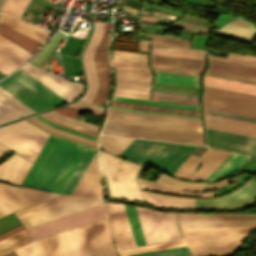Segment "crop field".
<instances>
[{
	"label": "crop field",
	"instance_id": "8a807250",
	"mask_svg": "<svg viewBox=\"0 0 256 256\" xmlns=\"http://www.w3.org/2000/svg\"><path fill=\"white\" fill-rule=\"evenodd\" d=\"M195 147L133 139L120 156L173 174Z\"/></svg>",
	"mask_w": 256,
	"mask_h": 256
},
{
	"label": "crop field",
	"instance_id": "ac0d7876",
	"mask_svg": "<svg viewBox=\"0 0 256 256\" xmlns=\"http://www.w3.org/2000/svg\"><path fill=\"white\" fill-rule=\"evenodd\" d=\"M0 87L35 112L66 102L21 68L2 80Z\"/></svg>",
	"mask_w": 256,
	"mask_h": 256
},
{
	"label": "crop field",
	"instance_id": "34b2d1b8",
	"mask_svg": "<svg viewBox=\"0 0 256 256\" xmlns=\"http://www.w3.org/2000/svg\"><path fill=\"white\" fill-rule=\"evenodd\" d=\"M100 160L110 197H123L143 202L135 179L140 166L101 151Z\"/></svg>",
	"mask_w": 256,
	"mask_h": 256
},
{
	"label": "crop field",
	"instance_id": "412701ff",
	"mask_svg": "<svg viewBox=\"0 0 256 256\" xmlns=\"http://www.w3.org/2000/svg\"><path fill=\"white\" fill-rule=\"evenodd\" d=\"M49 134L21 121L0 128V143L34 161Z\"/></svg>",
	"mask_w": 256,
	"mask_h": 256
},
{
	"label": "crop field",
	"instance_id": "f4fd0767",
	"mask_svg": "<svg viewBox=\"0 0 256 256\" xmlns=\"http://www.w3.org/2000/svg\"><path fill=\"white\" fill-rule=\"evenodd\" d=\"M103 134L203 145L202 133L106 122Z\"/></svg>",
	"mask_w": 256,
	"mask_h": 256
},
{
	"label": "crop field",
	"instance_id": "dd49c442",
	"mask_svg": "<svg viewBox=\"0 0 256 256\" xmlns=\"http://www.w3.org/2000/svg\"><path fill=\"white\" fill-rule=\"evenodd\" d=\"M116 85L150 88L153 76L147 55L113 51Z\"/></svg>",
	"mask_w": 256,
	"mask_h": 256
},
{
	"label": "crop field",
	"instance_id": "e52e79f7",
	"mask_svg": "<svg viewBox=\"0 0 256 256\" xmlns=\"http://www.w3.org/2000/svg\"><path fill=\"white\" fill-rule=\"evenodd\" d=\"M205 87L204 107L256 116V95Z\"/></svg>",
	"mask_w": 256,
	"mask_h": 256
},
{
	"label": "crop field",
	"instance_id": "d8731c3e",
	"mask_svg": "<svg viewBox=\"0 0 256 256\" xmlns=\"http://www.w3.org/2000/svg\"><path fill=\"white\" fill-rule=\"evenodd\" d=\"M139 208L136 209L147 244L182 238L174 213H164L143 208L152 238L151 242L143 210Z\"/></svg>",
	"mask_w": 256,
	"mask_h": 256
},
{
	"label": "crop field",
	"instance_id": "5a996713",
	"mask_svg": "<svg viewBox=\"0 0 256 256\" xmlns=\"http://www.w3.org/2000/svg\"><path fill=\"white\" fill-rule=\"evenodd\" d=\"M63 195L40 192L0 183V217Z\"/></svg>",
	"mask_w": 256,
	"mask_h": 256
},
{
	"label": "crop field",
	"instance_id": "3316defc",
	"mask_svg": "<svg viewBox=\"0 0 256 256\" xmlns=\"http://www.w3.org/2000/svg\"><path fill=\"white\" fill-rule=\"evenodd\" d=\"M76 143L58 138L31 186L50 190Z\"/></svg>",
	"mask_w": 256,
	"mask_h": 256
},
{
	"label": "crop field",
	"instance_id": "28ad6ade",
	"mask_svg": "<svg viewBox=\"0 0 256 256\" xmlns=\"http://www.w3.org/2000/svg\"><path fill=\"white\" fill-rule=\"evenodd\" d=\"M103 206L98 205L86 210H82L46 223H42L30 228H27L28 232L34 239L47 236L59 231H63L78 225H82L94 220L104 218Z\"/></svg>",
	"mask_w": 256,
	"mask_h": 256
},
{
	"label": "crop field",
	"instance_id": "d1516ede",
	"mask_svg": "<svg viewBox=\"0 0 256 256\" xmlns=\"http://www.w3.org/2000/svg\"><path fill=\"white\" fill-rule=\"evenodd\" d=\"M79 228L88 256H117L106 219Z\"/></svg>",
	"mask_w": 256,
	"mask_h": 256
},
{
	"label": "crop field",
	"instance_id": "22f410ed",
	"mask_svg": "<svg viewBox=\"0 0 256 256\" xmlns=\"http://www.w3.org/2000/svg\"><path fill=\"white\" fill-rule=\"evenodd\" d=\"M229 153L228 151L209 148L201 158L190 154L174 175L184 179L206 180ZM199 163L204 165L196 173L194 169Z\"/></svg>",
	"mask_w": 256,
	"mask_h": 256
},
{
	"label": "crop field",
	"instance_id": "cbeb9de0",
	"mask_svg": "<svg viewBox=\"0 0 256 256\" xmlns=\"http://www.w3.org/2000/svg\"><path fill=\"white\" fill-rule=\"evenodd\" d=\"M256 199V180L251 179L233 193L215 199H196L195 209H236Z\"/></svg>",
	"mask_w": 256,
	"mask_h": 256
},
{
	"label": "crop field",
	"instance_id": "5142ce71",
	"mask_svg": "<svg viewBox=\"0 0 256 256\" xmlns=\"http://www.w3.org/2000/svg\"><path fill=\"white\" fill-rule=\"evenodd\" d=\"M101 203V200L80 198L30 215L20 217V220L23 222L25 228H27Z\"/></svg>",
	"mask_w": 256,
	"mask_h": 256
},
{
	"label": "crop field",
	"instance_id": "d9b57169",
	"mask_svg": "<svg viewBox=\"0 0 256 256\" xmlns=\"http://www.w3.org/2000/svg\"><path fill=\"white\" fill-rule=\"evenodd\" d=\"M18 256H73L65 233H60L16 250Z\"/></svg>",
	"mask_w": 256,
	"mask_h": 256
},
{
	"label": "crop field",
	"instance_id": "733c2abd",
	"mask_svg": "<svg viewBox=\"0 0 256 256\" xmlns=\"http://www.w3.org/2000/svg\"><path fill=\"white\" fill-rule=\"evenodd\" d=\"M208 145L256 155V138L206 128Z\"/></svg>",
	"mask_w": 256,
	"mask_h": 256
},
{
	"label": "crop field",
	"instance_id": "4a817a6b",
	"mask_svg": "<svg viewBox=\"0 0 256 256\" xmlns=\"http://www.w3.org/2000/svg\"><path fill=\"white\" fill-rule=\"evenodd\" d=\"M254 229L182 232L187 246L244 241Z\"/></svg>",
	"mask_w": 256,
	"mask_h": 256
},
{
	"label": "crop field",
	"instance_id": "bc2a9ffb",
	"mask_svg": "<svg viewBox=\"0 0 256 256\" xmlns=\"http://www.w3.org/2000/svg\"><path fill=\"white\" fill-rule=\"evenodd\" d=\"M110 224L118 248L136 246L125 213L120 203L105 202Z\"/></svg>",
	"mask_w": 256,
	"mask_h": 256
},
{
	"label": "crop field",
	"instance_id": "214f88e0",
	"mask_svg": "<svg viewBox=\"0 0 256 256\" xmlns=\"http://www.w3.org/2000/svg\"><path fill=\"white\" fill-rule=\"evenodd\" d=\"M21 68L33 75L35 78L40 80L42 83L47 85L49 88L57 92L68 101L77 98V96L80 95L82 91V86L48 74L30 64H27Z\"/></svg>",
	"mask_w": 256,
	"mask_h": 256
},
{
	"label": "crop field",
	"instance_id": "92a150f3",
	"mask_svg": "<svg viewBox=\"0 0 256 256\" xmlns=\"http://www.w3.org/2000/svg\"><path fill=\"white\" fill-rule=\"evenodd\" d=\"M104 23L95 22L94 34L84 52L83 63L85 67V72L88 80V89L86 95L82 100L90 102L93 96L97 92L98 82L96 77V71L93 61L94 51L98 45V42L102 36Z\"/></svg>",
	"mask_w": 256,
	"mask_h": 256
},
{
	"label": "crop field",
	"instance_id": "dafd665d",
	"mask_svg": "<svg viewBox=\"0 0 256 256\" xmlns=\"http://www.w3.org/2000/svg\"><path fill=\"white\" fill-rule=\"evenodd\" d=\"M101 177L102 174L95 154L72 194L101 199Z\"/></svg>",
	"mask_w": 256,
	"mask_h": 256
},
{
	"label": "crop field",
	"instance_id": "00972430",
	"mask_svg": "<svg viewBox=\"0 0 256 256\" xmlns=\"http://www.w3.org/2000/svg\"><path fill=\"white\" fill-rule=\"evenodd\" d=\"M151 56L153 69L158 71L199 75L204 65V61L200 60Z\"/></svg>",
	"mask_w": 256,
	"mask_h": 256
},
{
	"label": "crop field",
	"instance_id": "a9b5d70f",
	"mask_svg": "<svg viewBox=\"0 0 256 256\" xmlns=\"http://www.w3.org/2000/svg\"><path fill=\"white\" fill-rule=\"evenodd\" d=\"M206 127L256 137V123L205 114Z\"/></svg>",
	"mask_w": 256,
	"mask_h": 256
},
{
	"label": "crop field",
	"instance_id": "4177f3b9",
	"mask_svg": "<svg viewBox=\"0 0 256 256\" xmlns=\"http://www.w3.org/2000/svg\"><path fill=\"white\" fill-rule=\"evenodd\" d=\"M32 162L14 154L0 165V179L21 183Z\"/></svg>",
	"mask_w": 256,
	"mask_h": 256
},
{
	"label": "crop field",
	"instance_id": "730fd06b",
	"mask_svg": "<svg viewBox=\"0 0 256 256\" xmlns=\"http://www.w3.org/2000/svg\"><path fill=\"white\" fill-rule=\"evenodd\" d=\"M240 17L226 25L219 31L218 35L252 43L256 36V27Z\"/></svg>",
	"mask_w": 256,
	"mask_h": 256
},
{
	"label": "crop field",
	"instance_id": "eef30255",
	"mask_svg": "<svg viewBox=\"0 0 256 256\" xmlns=\"http://www.w3.org/2000/svg\"><path fill=\"white\" fill-rule=\"evenodd\" d=\"M108 116L201 127V121L196 119L177 118L113 110H109Z\"/></svg>",
	"mask_w": 256,
	"mask_h": 256
},
{
	"label": "crop field",
	"instance_id": "ae1a2a85",
	"mask_svg": "<svg viewBox=\"0 0 256 256\" xmlns=\"http://www.w3.org/2000/svg\"><path fill=\"white\" fill-rule=\"evenodd\" d=\"M34 111V110H33ZM31 109L19 102L13 96L0 88V114L11 120L34 113Z\"/></svg>",
	"mask_w": 256,
	"mask_h": 256
},
{
	"label": "crop field",
	"instance_id": "d3111659",
	"mask_svg": "<svg viewBox=\"0 0 256 256\" xmlns=\"http://www.w3.org/2000/svg\"><path fill=\"white\" fill-rule=\"evenodd\" d=\"M1 18L5 19V20H7V21H9V22L21 27V28H24V29H26V30L44 38V39L50 34V31H48V30L42 29L40 27L31 25V24H28V23H25L23 21L11 18V17L3 15V14H1V16H0V21H1ZM3 19L1 21L2 24L6 25V26H8V27H10V28H12V29H14V30H16V31H18V32L36 40V41H38V42H40L42 40V38L28 32L24 29H21V28L15 26V25H13V24H11V23L3 20ZM44 39L41 41V43L44 41Z\"/></svg>",
	"mask_w": 256,
	"mask_h": 256
},
{
	"label": "crop field",
	"instance_id": "750c4746",
	"mask_svg": "<svg viewBox=\"0 0 256 256\" xmlns=\"http://www.w3.org/2000/svg\"><path fill=\"white\" fill-rule=\"evenodd\" d=\"M86 146L77 144L67 163L65 164L63 170L52 186L51 190L61 193L63 187L65 186L67 180L69 179L71 173L76 167L78 161L80 160L82 154L84 153Z\"/></svg>",
	"mask_w": 256,
	"mask_h": 256
},
{
	"label": "crop field",
	"instance_id": "bd1437ed",
	"mask_svg": "<svg viewBox=\"0 0 256 256\" xmlns=\"http://www.w3.org/2000/svg\"><path fill=\"white\" fill-rule=\"evenodd\" d=\"M204 84L207 86L256 94V84L241 81H235L206 75L204 79Z\"/></svg>",
	"mask_w": 256,
	"mask_h": 256
},
{
	"label": "crop field",
	"instance_id": "1d83c4d3",
	"mask_svg": "<svg viewBox=\"0 0 256 256\" xmlns=\"http://www.w3.org/2000/svg\"><path fill=\"white\" fill-rule=\"evenodd\" d=\"M162 176V173L160 175V177L158 178L157 180V183H160V184H164V183H167L169 185H172V186H175V187H179V188H186V189H203V188H212V187H216V186H221V185H225L233 180H235L234 178H229L227 180H224V181H220V182H217V183H212V184H199V183H189V182H183V181H180L178 179H175V178H172L170 176H167V175H163L162 179H161V182H164V183H161L159 182L160 178ZM236 181V180H235ZM233 181V182H235ZM231 182V183H233ZM167 184H164V185H167ZM230 184V183H229ZM167 185V186H169ZM228 185V184H227ZM170 186V187H172ZM226 186V185H225ZM175 187H172L174 189H178V190H185V191H206V190H214V189H218V188H221V187H217V188H212V189H204V190H186V189H179V188H175Z\"/></svg>",
	"mask_w": 256,
	"mask_h": 256
},
{
	"label": "crop field",
	"instance_id": "120bbe31",
	"mask_svg": "<svg viewBox=\"0 0 256 256\" xmlns=\"http://www.w3.org/2000/svg\"><path fill=\"white\" fill-rule=\"evenodd\" d=\"M152 38V47L170 50L186 51L204 54L205 51L188 49L190 42L161 35H149Z\"/></svg>",
	"mask_w": 256,
	"mask_h": 256
},
{
	"label": "crop field",
	"instance_id": "d32e631a",
	"mask_svg": "<svg viewBox=\"0 0 256 256\" xmlns=\"http://www.w3.org/2000/svg\"><path fill=\"white\" fill-rule=\"evenodd\" d=\"M111 106L200 117L199 111L112 101Z\"/></svg>",
	"mask_w": 256,
	"mask_h": 256
},
{
	"label": "crop field",
	"instance_id": "5866460e",
	"mask_svg": "<svg viewBox=\"0 0 256 256\" xmlns=\"http://www.w3.org/2000/svg\"><path fill=\"white\" fill-rule=\"evenodd\" d=\"M251 157L252 155L231 152L207 180L215 179L219 176L225 175L235 170L236 168H238L239 165H241Z\"/></svg>",
	"mask_w": 256,
	"mask_h": 256
},
{
	"label": "crop field",
	"instance_id": "028f5c9d",
	"mask_svg": "<svg viewBox=\"0 0 256 256\" xmlns=\"http://www.w3.org/2000/svg\"><path fill=\"white\" fill-rule=\"evenodd\" d=\"M0 35L7 38L8 40L14 42L15 44L21 46L31 53H35L40 43L0 24Z\"/></svg>",
	"mask_w": 256,
	"mask_h": 256
},
{
	"label": "crop field",
	"instance_id": "e1f06a70",
	"mask_svg": "<svg viewBox=\"0 0 256 256\" xmlns=\"http://www.w3.org/2000/svg\"><path fill=\"white\" fill-rule=\"evenodd\" d=\"M237 243L188 247L193 256H219L231 254Z\"/></svg>",
	"mask_w": 256,
	"mask_h": 256
},
{
	"label": "crop field",
	"instance_id": "0bd39190",
	"mask_svg": "<svg viewBox=\"0 0 256 256\" xmlns=\"http://www.w3.org/2000/svg\"><path fill=\"white\" fill-rule=\"evenodd\" d=\"M155 73V82L198 87V76L158 71H155Z\"/></svg>",
	"mask_w": 256,
	"mask_h": 256
},
{
	"label": "crop field",
	"instance_id": "b80d0937",
	"mask_svg": "<svg viewBox=\"0 0 256 256\" xmlns=\"http://www.w3.org/2000/svg\"><path fill=\"white\" fill-rule=\"evenodd\" d=\"M138 184L141 189L156 191L160 193H168V194H176L182 196H191V197H214L216 194L214 191L207 192V193H197V192H185V191H177L171 188L161 186L149 181H145L142 179L137 178Z\"/></svg>",
	"mask_w": 256,
	"mask_h": 256
},
{
	"label": "crop field",
	"instance_id": "c035e120",
	"mask_svg": "<svg viewBox=\"0 0 256 256\" xmlns=\"http://www.w3.org/2000/svg\"><path fill=\"white\" fill-rule=\"evenodd\" d=\"M95 151H96V149L87 147L85 153L83 154L77 167L75 168L74 172L72 173V175H71L70 179L68 180L66 186L64 187L62 193L71 194V192L74 189L75 185L77 184L79 178L81 177L82 173L84 172L85 168L87 167L88 163L90 162L92 156L94 155Z\"/></svg>",
	"mask_w": 256,
	"mask_h": 256
},
{
	"label": "crop field",
	"instance_id": "c21b1889",
	"mask_svg": "<svg viewBox=\"0 0 256 256\" xmlns=\"http://www.w3.org/2000/svg\"><path fill=\"white\" fill-rule=\"evenodd\" d=\"M209 69L256 78V68L211 61Z\"/></svg>",
	"mask_w": 256,
	"mask_h": 256
},
{
	"label": "crop field",
	"instance_id": "03da06ac",
	"mask_svg": "<svg viewBox=\"0 0 256 256\" xmlns=\"http://www.w3.org/2000/svg\"><path fill=\"white\" fill-rule=\"evenodd\" d=\"M24 61L11 51H9L7 48L2 46L0 44V71L3 72L4 74H8L21 64H23Z\"/></svg>",
	"mask_w": 256,
	"mask_h": 256
},
{
	"label": "crop field",
	"instance_id": "b54c1fbb",
	"mask_svg": "<svg viewBox=\"0 0 256 256\" xmlns=\"http://www.w3.org/2000/svg\"><path fill=\"white\" fill-rule=\"evenodd\" d=\"M177 216H178L179 220L256 219V215H221V214L177 213Z\"/></svg>",
	"mask_w": 256,
	"mask_h": 256
},
{
	"label": "crop field",
	"instance_id": "5d738f31",
	"mask_svg": "<svg viewBox=\"0 0 256 256\" xmlns=\"http://www.w3.org/2000/svg\"><path fill=\"white\" fill-rule=\"evenodd\" d=\"M182 231L255 228L256 223L180 225Z\"/></svg>",
	"mask_w": 256,
	"mask_h": 256
},
{
	"label": "crop field",
	"instance_id": "d23c7cc5",
	"mask_svg": "<svg viewBox=\"0 0 256 256\" xmlns=\"http://www.w3.org/2000/svg\"><path fill=\"white\" fill-rule=\"evenodd\" d=\"M56 140L57 137L50 136L49 140L47 141L46 145L44 146L43 150L41 151L40 155L33 164L32 168L30 169L22 184L30 185V183L33 181L34 177L36 176L38 170L40 169L41 165L43 164L44 160L46 159Z\"/></svg>",
	"mask_w": 256,
	"mask_h": 256
},
{
	"label": "crop field",
	"instance_id": "425ffa30",
	"mask_svg": "<svg viewBox=\"0 0 256 256\" xmlns=\"http://www.w3.org/2000/svg\"><path fill=\"white\" fill-rule=\"evenodd\" d=\"M132 139L102 135L100 147L119 155Z\"/></svg>",
	"mask_w": 256,
	"mask_h": 256
},
{
	"label": "crop field",
	"instance_id": "25e5ab78",
	"mask_svg": "<svg viewBox=\"0 0 256 256\" xmlns=\"http://www.w3.org/2000/svg\"><path fill=\"white\" fill-rule=\"evenodd\" d=\"M135 238L136 245H144L145 239L134 206L124 205Z\"/></svg>",
	"mask_w": 256,
	"mask_h": 256
},
{
	"label": "crop field",
	"instance_id": "73cf0c24",
	"mask_svg": "<svg viewBox=\"0 0 256 256\" xmlns=\"http://www.w3.org/2000/svg\"><path fill=\"white\" fill-rule=\"evenodd\" d=\"M107 121L202 132L201 128L108 117Z\"/></svg>",
	"mask_w": 256,
	"mask_h": 256
},
{
	"label": "crop field",
	"instance_id": "89e229c0",
	"mask_svg": "<svg viewBox=\"0 0 256 256\" xmlns=\"http://www.w3.org/2000/svg\"><path fill=\"white\" fill-rule=\"evenodd\" d=\"M66 236L69 241L72 253L74 256H87L79 228H74L66 231Z\"/></svg>",
	"mask_w": 256,
	"mask_h": 256
},
{
	"label": "crop field",
	"instance_id": "1f2cbd36",
	"mask_svg": "<svg viewBox=\"0 0 256 256\" xmlns=\"http://www.w3.org/2000/svg\"><path fill=\"white\" fill-rule=\"evenodd\" d=\"M27 237H29V234L26 232V230H24V231H22V232H20L16 235H13V236L5 239V240L0 241V251L9 247V246H11V245H13V244H15V243H17V242H19V241H21V240H23V239H25V238H27ZM31 240H33V239L31 237H29V238L15 244V245H13V246L1 251L0 255L6 253L8 251H11V250L29 242V241H31Z\"/></svg>",
	"mask_w": 256,
	"mask_h": 256
},
{
	"label": "crop field",
	"instance_id": "dbb93151",
	"mask_svg": "<svg viewBox=\"0 0 256 256\" xmlns=\"http://www.w3.org/2000/svg\"><path fill=\"white\" fill-rule=\"evenodd\" d=\"M3 2L4 0H0V7ZM28 2L29 0H6L0 12L19 18Z\"/></svg>",
	"mask_w": 256,
	"mask_h": 256
},
{
	"label": "crop field",
	"instance_id": "0fb4a251",
	"mask_svg": "<svg viewBox=\"0 0 256 256\" xmlns=\"http://www.w3.org/2000/svg\"><path fill=\"white\" fill-rule=\"evenodd\" d=\"M188 255H190V253L187 250L186 246H182V247L130 254V255H124V256H188Z\"/></svg>",
	"mask_w": 256,
	"mask_h": 256
},
{
	"label": "crop field",
	"instance_id": "1d79db26",
	"mask_svg": "<svg viewBox=\"0 0 256 256\" xmlns=\"http://www.w3.org/2000/svg\"><path fill=\"white\" fill-rule=\"evenodd\" d=\"M209 59L222 62L234 63L250 67H256V58L228 53L226 58L209 55Z\"/></svg>",
	"mask_w": 256,
	"mask_h": 256
},
{
	"label": "crop field",
	"instance_id": "9d1cf04e",
	"mask_svg": "<svg viewBox=\"0 0 256 256\" xmlns=\"http://www.w3.org/2000/svg\"><path fill=\"white\" fill-rule=\"evenodd\" d=\"M185 245L182 240L119 250L121 255Z\"/></svg>",
	"mask_w": 256,
	"mask_h": 256
},
{
	"label": "crop field",
	"instance_id": "447ae74e",
	"mask_svg": "<svg viewBox=\"0 0 256 256\" xmlns=\"http://www.w3.org/2000/svg\"><path fill=\"white\" fill-rule=\"evenodd\" d=\"M114 95L150 99V89L116 86Z\"/></svg>",
	"mask_w": 256,
	"mask_h": 256
},
{
	"label": "crop field",
	"instance_id": "0765c3eb",
	"mask_svg": "<svg viewBox=\"0 0 256 256\" xmlns=\"http://www.w3.org/2000/svg\"><path fill=\"white\" fill-rule=\"evenodd\" d=\"M112 100L199 110V106L113 96Z\"/></svg>",
	"mask_w": 256,
	"mask_h": 256
},
{
	"label": "crop field",
	"instance_id": "db79e9e6",
	"mask_svg": "<svg viewBox=\"0 0 256 256\" xmlns=\"http://www.w3.org/2000/svg\"><path fill=\"white\" fill-rule=\"evenodd\" d=\"M77 198L78 197L65 196V197L55 199V200H52V201H49V202H46V203H43V204H39V205L30 207V208H27V209H24V210L17 211L15 213L17 214L18 217H20V216L30 214V213H33V212H36V211H39V210H42V209H45V208H48V207H52V206H55V205H58V204H61V203H64V202H67V201H70V200L77 199Z\"/></svg>",
	"mask_w": 256,
	"mask_h": 256
},
{
	"label": "crop field",
	"instance_id": "7b73153f",
	"mask_svg": "<svg viewBox=\"0 0 256 256\" xmlns=\"http://www.w3.org/2000/svg\"><path fill=\"white\" fill-rule=\"evenodd\" d=\"M151 54L204 60V55L201 54L177 52L154 48H151Z\"/></svg>",
	"mask_w": 256,
	"mask_h": 256
},
{
	"label": "crop field",
	"instance_id": "78b8030e",
	"mask_svg": "<svg viewBox=\"0 0 256 256\" xmlns=\"http://www.w3.org/2000/svg\"><path fill=\"white\" fill-rule=\"evenodd\" d=\"M63 36L64 34L57 32L56 35L51 39V41L46 45V47L31 61V63L38 66Z\"/></svg>",
	"mask_w": 256,
	"mask_h": 256
},
{
	"label": "crop field",
	"instance_id": "0f1d7ab4",
	"mask_svg": "<svg viewBox=\"0 0 256 256\" xmlns=\"http://www.w3.org/2000/svg\"><path fill=\"white\" fill-rule=\"evenodd\" d=\"M44 115H46V116H48V117H50V118H52V119H54V120H56V121H58L60 123H64V124H67V125H70V126H74V127L80 128V129H84V130H87V131H90V132H94V133H97V134L99 133L98 131H95V130H92V129H88V128H85V127H82V126H79V125H76V124H73V123H70V122H66V121L60 120V119H58V118H56V117H54V116H52V115H50L48 113H45ZM44 115L41 114L39 116H41V117H43V118H45V119H47V120L57 124V125L64 126V127H67V128L73 129V130H77V131H80V132H83V133H86V134H89V135H93V136H96V137L98 136L97 134H93V133H90V132H87V131H83V130H80V129H77V128H73V127H70V126H67V125H63V124L57 123V122H55V121L45 117Z\"/></svg>",
	"mask_w": 256,
	"mask_h": 256
},
{
	"label": "crop field",
	"instance_id": "e1d0b9f6",
	"mask_svg": "<svg viewBox=\"0 0 256 256\" xmlns=\"http://www.w3.org/2000/svg\"><path fill=\"white\" fill-rule=\"evenodd\" d=\"M0 43L26 61L33 55L22 49L21 47L15 45L14 43L8 41L7 39L3 38L2 36H0Z\"/></svg>",
	"mask_w": 256,
	"mask_h": 256
},
{
	"label": "crop field",
	"instance_id": "ae633e8c",
	"mask_svg": "<svg viewBox=\"0 0 256 256\" xmlns=\"http://www.w3.org/2000/svg\"><path fill=\"white\" fill-rule=\"evenodd\" d=\"M256 222V220H222V221H179L180 224H200V223H240Z\"/></svg>",
	"mask_w": 256,
	"mask_h": 256
},
{
	"label": "crop field",
	"instance_id": "d14b1444",
	"mask_svg": "<svg viewBox=\"0 0 256 256\" xmlns=\"http://www.w3.org/2000/svg\"><path fill=\"white\" fill-rule=\"evenodd\" d=\"M50 114L60 118V119H63V120H66V121H70V122H73V123H76V124H79V125H82V126H85V127H88V128H92V129H95V130H100V127H97V126H94V125H90V124H87V123H84V122H81V121H78V120H75V119H72V118H68V117H65V116H62L54 111L52 112H49Z\"/></svg>",
	"mask_w": 256,
	"mask_h": 256
},
{
	"label": "crop field",
	"instance_id": "c39391a2",
	"mask_svg": "<svg viewBox=\"0 0 256 256\" xmlns=\"http://www.w3.org/2000/svg\"><path fill=\"white\" fill-rule=\"evenodd\" d=\"M33 119H35L36 121L42 123L43 125L47 126L48 128L54 130V131H57V132H60V133H64V134H67V135H70V136H73V137H76V138H79V139H82V140H86V141H89V142H92V143H95L96 144V141L95 140H92V139H88V138H85V137H82V136H79V135H75V134H72V133H69V132H66V131H63V130H59V129H56L46 123H44L43 121L35 118V117H32Z\"/></svg>",
	"mask_w": 256,
	"mask_h": 256
},
{
	"label": "crop field",
	"instance_id": "ade564c9",
	"mask_svg": "<svg viewBox=\"0 0 256 256\" xmlns=\"http://www.w3.org/2000/svg\"><path fill=\"white\" fill-rule=\"evenodd\" d=\"M207 73L256 82V79H254V78L243 77V76H238V75H233V74H227V73H222V72H217V71L208 70Z\"/></svg>",
	"mask_w": 256,
	"mask_h": 256
},
{
	"label": "crop field",
	"instance_id": "c5b07064",
	"mask_svg": "<svg viewBox=\"0 0 256 256\" xmlns=\"http://www.w3.org/2000/svg\"><path fill=\"white\" fill-rule=\"evenodd\" d=\"M109 109L122 110V111H132V112H141V113H150V114H159V115H168V116L187 117V118H196V117H188V116H180V115H172V114H163V113H155V112H147V111H138V110H130V109H122V108H114V107H110ZM196 119H200V118H196Z\"/></svg>",
	"mask_w": 256,
	"mask_h": 256
},
{
	"label": "crop field",
	"instance_id": "c3a83c6f",
	"mask_svg": "<svg viewBox=\"0 0 256 256\" xmlns=\"http://www.w3.org/2000/svg\"><path fill=\"white\" fill-rule=\"evenodd\" d=\"M36 117L41 119V120H43V121H45L46 123H48V124H50V125H52L54 127H56V128L63 129V130H66V131H69V132H72V133H76V134H79V135H82V136H85V137H88V138H92V139H95V140L97 139L96 137H93V136H89V135H86V134H83V133H80V132H76V131H73V130H70V129H67V128H64V127L57 126V125H55V124H53V123H51V122H49V121L39 117V116H36Z\"/></svg>",
	"mask_w": 256,
	"mask_h": 256
},
{
	"label": "crop field",
	"instance_id": "fb207236",
	"mask_svg": "<svg viewBox=\"0 0 256 256\" xmlns=\"http://www.w3.org/2000/svg\"><path fill=\"white\" fill-rule=\"evenodd\" d=\"M22 230H24V228L20 225V226H18V227H16V228L12 229V230H10V231H7V232L1 234V235H0V240L4 239V238H6V237H9V236H11V235H13V234H15V233H18V232H20V231H22Z\"/></svg>",
	"mask_w": 256,
	"mask_h": 256
},
{
	"label": "crop field",
	"instance_id": "7312dd0a",
	"mask_svg": "<svg viewBox=\"0 0 256 256\" xmlns=\"http://www.w3.org/2000/svg\"><path fill=\"white\" fill-rule=\"evenodd\" d=\"M27 120H29V121H31V122H33V123H35V124H37V125H39V126H41V127L45 128V129H47V130H49V131H51V132H53V133H56V134H59V135H62V136H65V137H68V138H71V139H75V140H78V141H81V142H84V143H87V144H90V145L96 146L95 144H92V143H89V142H85V141H82V140H79V139H76V138H73V137H70V136H67V135H63V134H60V133L54 132V131H52V130L48 129L47 127H45V126L41 125L40 123L36 122L35 120H33V119H31V118H29V119H27ZM51 132H50V133H51ZM96 147H97V146H96Z\"/></svg>",
	"mask_w": 256,
	"mask_h": 256
},
{
	"label": "crop field",
	"instance_id": "180be81f",
	"mask_svg": "<svg viewBox=\"0 0 256 256\" xmlns=\"http://www.w3.org/2000/svg\"><path fill=\"white\" fill-rule=\"evenodd\" d=\"M123 5L137 9V10L140 9V7H141L140 3H137V2H134L131 0H125Z\"/></svg>",
	"mask_w": 256,
	"mask_h": 256
},
{
	"label": "crop field",
	"instance_id": "f0312440",
	"mask_svg": "<svg viewBox=\"0 0 256 256\" xmlns=\"http://www.w3.org/2000/svg\"><path fill=\"white\" fill-rule=\"evenodd\" d=\"M145 41H139V49L144 51ZM149 41H146L145 51H148Z\"/></svg>",
	"mask_w": 256,
	"mask_h": 256
},
{
	"label": "crop field",
	"instance_id": "1f1604b0",
	"mask_svg": "<svg viewBox=\"0 0 256 256\" xmlns=\"http://www.w3.org/2000/svg\"><path fill=\"white\" fill-rule=\"evenodd\" d=\"M9 149H7V148H5V147H3V146H1L0 145V157L5 153V152H7Z\"/></svg>",
	"mask_w": 256,
	"mask_h": 256
},
{
	"label": "crop field",
	"instance_id": "819c52e7",
	"mask_svg": "<svg viewBox=\"0 0 256 256\" xmlns=\"http://www.w3.org/2000/svg\"><path fill=\"white\" fill-rule=\"evenodd\" d=\"M139 40H148V36H147V35L140 34Z\"/></svg>",
	"mask_w": 256,
	"mask_h": 256
},
{
	"label": "crop field",
	"instance_id": "c821d689",
	"mask_svg": "<svg viewBox=\"0 0 256 256\" xmlns=\"http://www.w3.org/2000/svg\"><path fill=\"white\" fill-rule=\"evenodd\" d=\"M5 121H8V120L0 115V123L5 122Z\"/></svg>",
	"mask_w": 256,
	"mask_h": 256
},
{
	"label": "crop field",
	"instance_id": "a0ae1fb6",
	"mask_svg": "<svg viewBox=\"0 0 256 256\" xmlns=\"http://www.w3.org/2000/svg\"><path fill=\"white\" fill-rule=\"evenodd\" d=\"M127 10H129V11H132V12H134V13H137L138 14V11L137 10H134V9H131V8H128V7H125Z\"/></svg>",
	"mask_w": 256,
	"mask_h": 256
},
{
	"label": "crop field",
	"instance_id": "8de936bc",
	"mask_svg": "<svg viewBox=\"0 0 256 256\" xmlns=\"http://www.w3.org/2000/svg\"><path fill=\"white\" fill-rule=\"evenodd\" d=\"M6 75H4L3 73L0 72V78L4 77Z\"/></svg>",
	"mask_w": 256,
	"mask_h": 256
}]
</instances>
